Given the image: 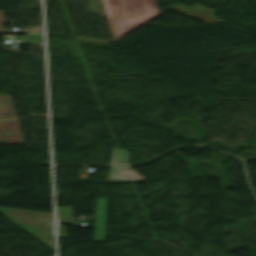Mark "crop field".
<instances>
[{"mask_svg": "<svg viewBox=\"0 0 256 256\" xmlns=\"http://www.w3.org/2000/svg\"><path fill=\"white\" fill-rule=\"evenodd\" d=\"M114 40L159 15L155 0H102Z\"/></svg>", "mask_w": 256, "mask_h": 256, "instance_id": "obj_1", "label": "crop field"}, {"mask_svg": "<svg viewBox=\"0 0 256 256\" xmlns=\"http://www.w3.org/2000/svg\"><path fill=\"white\" fill-rule=\"evenodd\" d=\"M0 213L54 251L52 214L5 207Z\"/></svg>", "mask_w": 256, "mask_h": 256, "instance_id": "obj_2", "label": "crop field"}, {"mask_svg": "<svg viewBox=\"0 0 256 256\" xmlns=\"http://www.w3.org/2000/svg\"><path fill=\"white\" fill-rule=\"evenodd\" d=\"M169 9L183 13L185 15L191 16L193 18L202 20L207 23L223 22V21L213 17L216 12L215 10L209 9L207 7H204V6H201L198 4H196L190 8H187L182 5L177 4Z\"/></svg>", "mask_w": 256, "mask_h": 256, "instance_id": "obj_3", "label": "crop field"}, {"mask_svg": "<svg viewBox=\"0 0 256 256\" xmlns=\"http://www.w3.org/2000/svg\"><path fill=\"white\" fill-rule=\"evenodd\" d=\"M0 143L23 144L17 119L0 121Z\"/></svg>", "mask_w": 256, "mask_h": 256, "instance_id": "obj_4", "label": "crop field"}, {"mask_svg": "<svg viewBox=\"0 0 256 256\" xmlns=\"http://www.w3.org/2000/svg\"><path fill=\"white\" fill-rule=\"evenodd\" d=\"M126 175V176H123ZM144 181L143 176H139L135 170L127 167H111L107 183L140 182Z\"/></svg>", "mask_w": 256, "mask_h": 256, "instance_id": "obj_5", "label": "crop field"}, {"mask_svg": "<svg viewBox=\"0 0 256 256\" xmlns=\"http://www.w3.org/2000/svg\"><path fill=\"white\" fill-rule=\"evenodd\" d=\"M106 199H96L94 242H105Z\"/></svg>", "mask_w": 256, "mask_h": 256, "instance_id": "obj_6", "label": "crop field"}, {"mask_svg": "<svg viewBox=\"0 0 256 256\" xmlns=\"http://www.w3.org/2000/svg\"><path fill=\"white\" fill-rule=\"evenodd\" d=\"M16 117L10 96H0V119Z\"/></svg>", "mask_w": 256, "mask_h": 256, "instance_id": "obj_7", "label": "crop field"}, {"mask_svg": "<svg viewBox=\"0 0 256 256\" xmlns=\"http://www.w3.org/2000/svg\"><path fill=\"white\" fill-rule=\"evenodd\" d=\"M59 223H74L73 207H57Z\"/></svg>", "mask_w": 256, "mask_h": 256, "instance_id": "obj_8", "label": "crop field"}, {"mask_svg": "<svg viewBox=\"0 0 256 256\" xmlns=\"http://www.w3.org/2000/svg\"><path fill=\"white\" fill-rule=\"evenodd\" d=\"M124 157V159H121ZM129 152L124 149H113L111 163L113 164H128Z\"/></svg>", "mask_w": 256, "mask_h": 256, "instance_id": "obj_9", "label": "crop field"}, {"mask_svg": "<svg viewBox=\"0 0 256 256\" xmlns=\"http://www.w3.org/2000/svg\"><path fill=\"white\" fill-rule=\"evenodd\" d=\"M58 238H66L64 226H58Z\"/></svg>", "mask_w": 256, "mask_h": 256, "instance_id": "obj_10", "label": "crop field"}, {"mask_svg": "<svg viewBox=\"0 0 256 256\" xmlns=\"http://www.w3.org/2000/svg\"><path fill=\"white\" fill-rule=\"evenodd\" d=\"M2 14L3 12H0V25H1Z\"/></svg>", "mask_w": 256, "mask_h": 256, "instance_id": "obj_11", "label": "crop field"}]
</instances>
